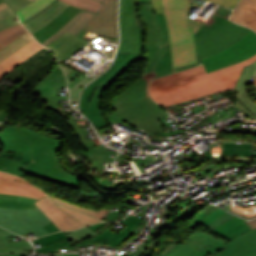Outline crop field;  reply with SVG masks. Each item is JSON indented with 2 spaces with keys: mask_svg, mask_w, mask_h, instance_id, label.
I'll list each match as a JSON object with an SVG mask.
<instances>
[{
  "mask_svg": "<svg viewBox=\"0 0 256 256\" xmlns=\"http://www.w3.org/2000/svg\"><path fill=\"white\" fill-rule=\"evenodd\" d=\"M138 13L146 29L145 73L126 91L115 97L113 103L115 110L126 117L127 123L132 126L147 131L164 132L156 119L169 114L150 99L147 87L153 78L174 73L167 25L163 14L155 15L152 3L139 4Z\"/></svg>",
  "mask_w": 256,
  "mask_h": 256,
  "instance_id": "crop-field-1",
  "label": "crop field"
},
{
  "mask_svg": "<svg viewBox=\"0 0 256 256\" xmlns=\"http://www.w3.org/2000/svg\"><path fill=\"white\" fill-rule=\"evenodd\" d=\"M4 152L18 153L33 162L27 167L0 158V170L25 179V174L67 187L82 188V177L68 174L57 159L60 141L24 126H8L0 132Z\"/></svg>",
  "mask_w": 256,
  "mask_h": 256,
  "instance_id": "crop-field-2",
  "label": "crop field"
},
{
  "mask_svg": "<svg viewBox=\"0 0 256 256\" xmlns=\"http://www.w3.org/2000/svg\"><path fill=\"white\" fill-rule=\"evenodd\" d=\"M231 10L219 6L204 22L193 19L198 63L175 68V72L197 65L201 59L214 55L238 41L249 29L228 21Z\"/></svg>",
  "mask_w": 256,
  "mask_h": 256,
  "instance_id": "crop-field-3",
  "label": "crop field"
},
{
  "mask_svg": "<svg viewBox=\"0 0 256 256\" xmlns=\"http://www.w3.org/2000/svg\"><path fill=\"white\" fill-rule=\"evenodd\" d=\"M171 39L173 66L197 62L189 0H161Z\"/></svg>",
  "mask_w": 256,
  "mask_h": 256,
  "instance_id": "crop-field-4",
  "label": "crop field"
},
{
  "mask_svg": "<svg viewBox=\"0 0 256 256\" xmlns=\"http://www.w3.org/2000/svg\"><path fill=\"white\" fill-rule=\"evenodd\" d=\"M242 69L239 68L201 77L149 93L155 101L164 107L174 105L213 93L234 89Z\"/></svg>",
  "mask_w": 256,
  "mask_h": 256,
  "instance_id": "crop-field-5",
  "label": "crop field"
},
{
  "mask_svg": "<svg viewBox=\"0 0 256 256\" xmlns=\"http://www.w3.org/2000/svg\"><path fill=\"white\" fill-rule=\"evenodd\" d=\"M141 57V54L117 53L115 62L111 68L84 89L80 110L93 122L96 129L109 126L101 111V98L105 89L104 85L128 70Z\"/></svg>",
  "mask_w": 256,
  "mask_h": 256,
  "instance_id": "crop-field-6",
  "label": "crop field"
},
{
  "mask_svg": "<svg viewBox=\"0 0 256 256\" xmlns=\"http://www.w3.org/2000/svg\"><path fill=\"white\" fill-rule=\"evenodd\" d=\"M103 2L98 14L82 9L65 26L44 41L45 47L68 32L77 35L81 30L118 38L117 0H97Z\"/></svg>",
  "mask_w": 256,
  "mask_h": 256,
  "instance_id": "crop-field-7",
  "label": "crop field"
},
{
  "mask_svg": "<svg viewBox=\"0 0 256 256\" xmlns=\"http://www.w3.org/2000/svg\"><path fill=\"white\" fill-rule=\"evenodd\" d=\"M151 0H120L121 42L118 52L142 53L145 51V29L139 19L138 4Z\"/></svg>",
  "mask_w": 256,
  "mask_h": 256,
  "instance_id": "crop-field-8",
  "label": "crop field"
},
{
  "mask_svg": "<svg viewBox=\"0 0 256 256\" xmlns=\"http://www.w3.org/2000/svg\"><path fill=\"white\" fill-rule=\"evenodd\" d=\"M62 87H66L65 78L60 67L58 66L46 78L40 81L39 84L30 92L32 95L40 94L45 108L58 111L59 114L66 119L68 125L73 128L86 148L95 146L92 140L86 141L83 137L87 135L85 128H80L72 118L58 109L56 88Z\"/></svg>",
  "mask_w": 256,
  "mask_h": 256,
  "instance_id": "crop-field-9",
  "label": "crop field"
},
{
  "mask_svg": "<svg viewBox=\"0 0 256 256\" xmlns=\"http://www.w3.org/2000/svg\"><path fill=\"white\" fill-rule=\"evenodd\" d=\"M256 54V33L250 30L242 39L228 49L203 59L206 72L215 71L228 65L241 62Z\"/></svg>",
  "mask_w": 256,
  "mask_h": 256,
  "instance_id": "crop-field-10",
  "label": "crop field"
},
{
  "mask_svg": "<svg viewBox=\"0 0 256 256\" xmlns=\"http://www.w3.org/2000/svg\"><path fill=\"white\" fill-rule=\"evenodd\" d=\"M227 243L207 232L196 230L189 235L186 245L177 244L164 256H209Z\"/></svg>",
  "mask_w": 256,
  "mask_h": 256,
  "instance_id": "crop-field-11",
  "label": "crop field"
},
{
  "mask_svg": "<svg viewBox=\"0 0 256 256\" xmlns=\"http://www.w3.org/2000/svg\"><path fill=\"white\" fill-rule=\"evenodd\" d=\"M49 222L51 220L44 213L27 214L0 210V225L17 234L28 230L37 236L48 234L42 226Z\"/></svg>",
  "mask_w": 256,
  "mask_h": 256,
  "instance_id": "crop-field-12",
  "label": "crop field"
},
{
  "mask_svg": "<svg viewBox=\"0 0 256 256\" xmlns=\"http://www.w3.org/2000/svg\"><path fill=\"white\" fill-rule=\"evenodd\" d=\"M225 211H222L220 209H215L210 204L205 206L189 223L188 227L196 229L197 226L200 224L213 232L214 234L221 236L223 238H227L240 230L248 227L246 224H244L242 220L234 217L224 224L216 227L214 230L209 227L208 225L213 222L215 219H217L219 216L224 214Z\"/></svg>",
  "mask_w": 256,
  "mask_h": 256,
  "instance_id": "crop-field-13",
  "label": "crop field"
},
{
  "mask_svg": "<svg viewBox=\"0 0 256 256\" xmlns=\"http://www.w3.org/2000/svg\"><path fill=\"white\" fill-rule=\"evenodd\" d=\"M255 60H256V55L254 57L244 61V62L237 63V64L228 66L226 68H223L221 70L211 72V73H208V74H206L203 65L198 66V67H194V68H191V69H187V70H184V71H181V72H177V73H174V74H171V75H167V76H164V77L154 79L149 85V91L154 90V89H158V88L168 87V86L174 85V84L179 83V82L191 80V79L198 78V77L205 76V75H209V74H212V73L246 66V65L251 64Z\"/></svg>",
  "mask_w": 256,
  "mask_h": 256,
  "instance_id": "crop-field-14",
  "label": "crop field"
},
{
  "mask_svg": "<svg viewBox=\"0 0 256 256\" xmlns=\"http://www.w3.org/2000/svg\"><path fill=\"white\" fill-rule=\"evenodd\" d=\"M210 256H256V230L233 239Z\"/></svg>",
  "mask_w": 256,
  "mask_h": 256,
  "instance_id": "crop-field-15",
  "label": "crop field"
},
{
  "mask_svg": "<svg viewBox=\"0 0 256 256\" xmlns=\"http://www.w3.org/2000/svg\"><path fill=\"white\" fill-rule=\"evenodd\" d=\"M0 193L41 199L46 195L32 184L12 175L0 172Z\"/></svg>",
  "mask_w": 256,
  "mask_h": 256,
  "instance_id": "crop-field-16",
  "label": "crop field"
},
{
  "mask_svg": "<svg viewBox=\"0 0 256 256\" xmlns=\"http://www.w3.org/2000/svg\"><path fill=\"white\" fill-rule=\"evenodd\" d=\"M36 204L60 230H72L84 226L75 218L57 208V205L55 206V204L48 197L41 199Z\"/></svg>",
  "mask_w": 256,
  "mask_h": 256,
  "instance_id": "crop-field-17",
  "label": "crop field"
},
{
  "mask_svg": "<svg viewBox=\"0 0 256 256\" xmlns=\"http://www.w3.org/2000/svg\"><path fill=\"white\" fill-rule=\"evenodd\" d=\"M87 44H89V42L66 33L46 48L54 52L57 61L60 64L71 57V55L77 52L78 49L85 47Z\"/></svg>",
  "mask_w": 256,
  "mask_h": 256,
  "instance_id": "crop-field-18",
  "label": "crop field"
},
{
  "mask_svg": "<svg viewBox=\"0 0 256 256\" xmlns=\"http://www.w3.org/2000/svg\"><path fill=\"white\" fill-rule=\"evenodd\" d=\"M256 73V61L251 65L244 67L240 78L235 86V90L239 93L236 96L239 100L246 106V108L256 116V103L251 100L247 86L252 79L253 75Z\"/></svg>",
  "mask_w": 256,
  "mask_h": 256,
  "instance_id": "crop-field-19",
  "label": "crop field"
},
{
  "mask_svg": "<svg viewBox=\"0 0 256 256\" xmlns=\"http://www.w3.org/2000/svg\"><path fill=\"white\" fill-rule=\"evenodd\" d=\"M230 20L256 31V0H241L230 16Z\"/></svg>",
  "mask_w": 256,
  "mask_h": 256,
  "instance_id": "crop-field-20",
  "label": "crop field"
},
{
  "mask_svg": "<svg viewBox=\"0 0 256 256\" xmlns=\"http://www.w3.org/2000/svg\"><path fill=\"white\" fill-rule=\"evenodd\" d=\"M81 9L69 5L58 17H56L49 24L32 33L34 37L41 43L46 40L49 36L59 30L65 25L75 14Z\"/></svg>",
  "mask_w": 256,
  "mask_h": 256,
  "instance_id": "crop-field-21",
  "label": "crop field"
},
{
  "mask_svg": "<svg viewBox=\"0 0 256 256\" xmlns=\"http://www.w3.org/2000/svg\"><path fill=\"white\" fill-rule=\"evenodd\" d=\"M42 48L44 47H42L34 40L10 56L8 59L0 63V78Z\"/></svg>",
  "mask_w": 256,
  "mask_h": 256,
  "instance_id": "crop-field-22",
  "label": "crop field"
},
{
  "mask_svg": "<svg viewBox=\"0 0 256 256\" xmlns=\"http://www.w3.org/2000/svg\"><path fill=\"white\" fill-rule=\"evenodd\" d=\"M68 5L64 4L63 2H57L44 13H42L37 18L29 21L28 23L24 24L25 27L32 33L39 28L43 27L51 20H53L56 16H58Z\"/></svg>",
  "mask_w": 256,
  "mask_h": 256,
  "instance_id": "crop-field-23",
  "label": "crop field"
},
{
  "mask_svg": "<svg viewBox=\"0 0 256 256\" xmlns=\"http://www.w3.org/2000/svg\"><path fill=\"white\" fill-rule=\"evenodd\" d=\"M14 235L0 228V253L23 252L22 250L33 249L28 241L7 242V237Z\"/></svg>",
  "mask_w": 256,
  "mask_h": 256,
  "instance_id": "crop-field-24",
  "label": "crop field"
},
{
  "mask_svg": "<svg viewBox=\"0 0 256 256\" xmlns=\"http://www.w3.org/2000/svg\"><path fill=\"white\" fill-rule=\"evenodd\" d=\"M91 244H95V246L96 244H107V245H111L112 247H115V245L108 240L92 243L90 238H88L82 242L75 243V244H72L69 240H67L62 243L54 244L45 248H39L35 250L37 253L57 252L56 248L66 247V249H73V247H79V246H85V245H91Z\"/></svg>",
  "mask_w": 256,
  "mask_h": 256,
  "instance_id": "crop-field-25",
  "label": "crop field"
},
{
  "mask_svg": "<svg viewBox=\"0 0 256 256\" xmlns=\"http://www.w3.org/2000/svg\"><path fill=\"white\" fill-rule=\"evenodd\" d=\"M32 40L33 37L30 35V33L27 32L11 44L0 50V62L8 58L10 55L18 51L20 48H22Z\"/></svg>",
  "mask_w": 256,
  "mask_h": 256,
  "instance_id": "crop-field-26",
  "label": "crop field"
},
{
  "mask_svg": "<svg viewBox=\"0 0 256 256\" xmlns=\"http://www.w3.org/2000/svg\"><path fill=\"white\" fill-rule=\"evenodd\" d=\"M25 32H27V30L21 24L1 30L0 49L11 43Z\"/></svg>",
  "mask_w": 256,
  "mask_h": 256,
  "instance_id": "crop-field-27",
  "label": "crop field"
},
{
  "mask_svg": "<svg viewBox=\"0 0 256 256\" xmlns=\"http://www.w3.org/2000/svg\"><path fill=\"white\" fill-rule=\"evenodd\" d=\"M53 0H36L33 3H31L29 6L26 8L16 12L20 18V20H24L28 18L29 16L33 15L34 13L38 12L41 10L43 7L48 5L50 2Z\"/></svg>",
  "mask_w": 256,
  "mask_h": 256,
  "instance_id": "crop-field-28",
  "label": "crop field"
},
{
  "mask_svg": "<svg viewBox=\"0 0 256 256\" xmlns=\"http://www.w3.org/2000/svg\"><path fill=\"white\" fill-rule=\"evenodd\" d=\"M50 198L53 199L54 201L58 202L59 204L65 206V207H68V208H71V209H74V210H78V211H81V212H84V213L91 214V215H93L95 217H98L102 220H103V218L105 217V215L108 211V209H106V208H102L98 211H95V210H91V209L76 206L74 204H71L69 202H66L64 200H61V199H58V198H55V197H52V196H50Z\"/></svg>",
  "mask_w": 256,
  "mask_h": 256,
  "instance_id": "crop-field-29",
  "label": "crop field"
},
{
  "mask_svg": "<svg viewBox=\"0 0 256 256\" xmlns=\"http://www.w3.org/2000/svg\"><path fill=\"white\" fill-rule=\"evenodd\" d=\"M64 240H67L66 236L63 234V232H59L56 234H51V235H46L39 238L31 239L30 241L32 242V244L41 242L44 247V246H47L53 243H58Z\"/></svg>",
  "mask_w": 256,
  "mask_h": 256,
  "instance_id": "crop-field-30",
  "label": "crop field"
},
{
  "mask_svg": "<svg viewBox=\"0 0 256 256\" xmlns=\"http://www.w3.org/2000/svg\"><path fill=\"white\" fill-rule=\"evenodd\" d=\"M60 1H63L64 3L71 4L79 8H84L96 13L101 5L100 2H96L92 0H60Z\"/></svg>",
  "mask_w": 256,
  "mask_h": 256,
  "instance_id": "crop-field-31",
  "label": "crop field"
},
{
  "mask_svg": "<svg viewBox=\"0 0 256 256\" xmlns=\"http://www.w3.org/2000/svg\"><path fill=\"white\" fill-rule=\"evenodd\" d=\"M87 177L91 178L93 180L94 184L97 185L100 189H102L104 191H119L118 186L121 184H125L124 182L113 183V182H110L107 180L97 178L90 174H87Z\"/></svg>",
  "mask_w": 256,
  "mask_h": 256,
  "instance_id": "crop-field-32",
  "label": "crop field"
},
{
  "mask_svg": "<svg viewBox=\"0 0 256 256\" xmlns=\"http://www.w3.org/2000/svg\"><path fill=\"white\" fill-rule=\"evenodd\" d=\"M97 235L94 231L90 230L87 227L81 228L79 230L73 231L70 234H66L67 238L72 242H79L82 241L88 237H93Z\"/></svg>",
  "mask_w": 256,
  "mask_h": 256,
  "instance_id": "crop-field-33",
  "label": "crop field"
},
{
  "mask_svg": "<svg viewBox=\"0 0 256 256\" xmlns=\"http://www.w3.org/2000/svg\"><path fill=\"white\" fill-rule=\"evenodd\" d=\"M16 16V13L10 7L0 11V30L12 25L19 24L17 22L14 23L11 19Z\"/></svg>",
  "mask_w": 256,
  "mask_h": 256,
  "instance_id": "crop-field-34",
  "label": "crop field"
},
{
  "mask_svg": "<svg viewBox=\"0 0 256 256\" xmlns=\"http://www.w3.org/2000/svg\"><path fill=\"white\" fill-rule=\"evenodd\" d=\"M57 207L65 210L66 212H68L70 215H72L73 217H75L76 219H78L80 222H82L85 225L99 222V220H97V219H95V218H93L91 216L85 215L83 213L75 212V211L69 210L67 208L61 207L59 205H57Z\"/></svg>",
  "mask_w": 256,
  "mask_h": 256,
  "instance_id": "crop-field-35",
  "label": "crop field"
},
{
  "mask_svg": "<svg viewBox=\"0 0 256 256\" xmlns=\"http://www.w3.org/2000/svg\"><path fill=\"white\" fill-rule=\"evenodd\" d=\"M177 243H181V242L178 240H172V239L166 238L165 242L163 243L161 248L158 250V252L155 254V256H162L163 254L168 252Z\"/></svg>",
  "mask_w": 256,
  "mask_h": 256,
  "instance_id": "crop-field-36",
  "label": "crop field"
},
{
  "mask_svg": "<svg viewBox=\"0 0 256 256\" xmlns=\"http://www.w3.org/2000/svg\"><path fill=\"white\" fill-rule=\"evenodd\" d=\"M4 1H6L14 9L15 12L26 7L31 2H33L31 0H4Z\"/></svg>",
  "mask_w": 256,
  "mask_h": 256,
  "instance_id": "crop-field-37",
  "label": "crop field"
},
{
  "mask_svg": "<svg viewBox=\"0 0 256 256\" xmlns=\"http://www.w3.org/2000/svg\"><path fill=\"white\" fill-rule=\"evenodd\" d=\"M0 157L1 158H11L14 159L24 165H28L29 163H31V161L27 160L26 158L18 155V154H11V153H0Z\"/></svg>",
  "mask_w": 256,
  "mask_h": 256,
  "instance_id": "crop-field-38",
  "label": "crop field"
},
{
  "mask_svg": "<svg viewBox=\"0 0 256 256\" xmlns=\"http://www.w3.org/2000/svg\"><path fill=\"white\" fill-rule=\"evenodd\" d=\"M159 244L152 242L150 245H145L143 244L142 247L140 248V250L144 251L145 253L142 256H149L150 254H152L155 249L157 248Z\"/></svg>",
  "mask_w": 256,
  "mask_h": 256,
  "instance_id": "crop-field-39",
  "label": "crop field"
},
{
  "mask_svg": "<svg viewBox=\"0 0 256 256\" xmlns=\"http://www.w3.org/2000/svg\"><path fill=\"white\" fill-rule=\"evenodd\" d=\"M208 1L233 9L239 0H208Z\"/></svg>",
  "mask_w": 256,
  "mask_h": 256,
  "instance_id": "crop-field-40",
  "label": "crop field"
},
{
  "mask_svg": "<svg viewBox=\"0 0 256 256\" xmlns=\"http://www.w3.org/2000/svg\"><path fill=\"white\" fill-rule=\"evenodd\" d=\"M234 217L233 215H231L230 213H225L224 215H222L221 217H219L217 220H215L212 224H210L209 226L215 228L216 226L222 224L223 222L227 221L228 219Z\"/></svg>",
  "mask_w": 256,
  "mask_h": 256,
  "instance_id": "crop-field-41",
  "label": "crop field"
},
{
  "mask_svg": "<svg viewBox=\"0 0 256 256\" xmlns=\"http://www.w3.org/2000/svg\"><path fill=\"white\" fill-rule=\"evenodd\" d=\"M118 209L119 210H117V211H115V212H110L109 214H108V216L106 217V219L105 220H116L118 217H119V214H120V212H121V210H122V206L120 205V206H118Z\"/></svg>",
  "mask_w": 256,
  "mask_h": 256,
  "instance_id": "crop-field-42",
  "label": "crop field"
},
{
  "mask_svg": "<svg viewBox=\"0 0 256 256\" xmlns=\"http://www.w3.org/2000/svg\"><path fill=\"white\" fill-rule=\"evenodd\" d=\"M57 1H59V0L53 1L51 4H49L48 6H46L44 9H42V10L39 11L38 13H36V14H34L33 16L29 17L28 19L22 21V23H25V22H27V21H29V20H31V19L37 17L38 15H40L42 12H44L46 9H48L50 6H52V5H53L54 3H56Z\"/></svg>",
  "mask_w": 256,
  "mask_h": 256,
  "instance_id": "crop-field-43",
  "label": "crop field"
},
{
  "mask_svg": "<svg viewBox=\"0 0 256 256\" xmlns=\"http://www.w3.org/2000/svg\"><path fill=\"white\" fill-rule=\"evenodd\" d=\"M155 8L156 14L163 13L162 5L160 3V0H152Z\"/></svg>",
  "mask_w": 256,
  "mask_h": 256,
  "instance_id": "crop-field-44",
  "label": "crop field"
},
{
  "mask_svg": "<svg viewBox=\"0 0 256 256\" xmlns=\"http://www.w3.org/2000/svg\"><path fill=\"white\" fill-rule=\"evenodd\" d=\"M44 228L49 232H55V231H59V229L55 226V224L52 222L46 226H44Z\"/></svg>",
  "mask_w": 256,
  "mask_h": 256,
  "instance_id": "crop-field-45",
  "label": "crop field"
},
{
  "mask_svg": "<svg viewBox=\"0 0 256 256\" xmlns=\"http://www.w3.org/2000/svg\"><path fill=\"white\" fill-rule=\"evenodd\" d=\"M106 223L107 222H103V223H99V224L90 225L88 227L95 231V230L101 228L102 226H104Z\"/></svg>",
  "mask_w": 256,
  "mask_h": 256,
  "instance_id": "crop-field-46",
  "label": "crop field"
},
{
  "mask_svg": "<svg viewBox=\"0 0 256 256\" xmlns=\"http://www.w3.org/2000/svg\"><path fill=\"white\" fill-rule=\"evenodd\" d=\"M251 229H250V227L249 228H247V229H245V230H243V231H241V232H239V233H237V234H235V235H233V236H231V237H229V238H227V239H229L230 241L233 239V238H235V237H237V236H239V235H241V234H243V233H245V232H247V231H250Z\"/></svg>",
  "mask_w": 256,
  "mask_h": 256,
  "instance_id": "crop-field-47",
  "label": "crop field"
},
{
  "mask_svg": "<svg viewBox=\"0 0 256 256\" xmlns=\"http://www.w3.org/2000/svg\"><path fill=\"white\" fill-rule=\"evenodd\" d=\"M247 225H249L252 230L256 229V219L255 220H251V221H247L245 222Z\"/></svg>",
  "mask_w": 256,
  "mask_h": 256,
  "instance_id": "crop-field-48",
  "label": "crop field"
},
{
  "mask_svg": "<svg viewBox=\"0 0 256 256\" xmlns=\"http://www.w3.org/2000/svg\"><path fill=\"white\" fill-rule=\"evenodd\" d=\"M6 116H7V114H6L5 110L0 111V121L1 120H6Z\"/></svg>",
  "mask_w": 256,
  "mask_h": 256,
  "instance_id": "crop-field-49",
  "label": "crop field"
},
{
  "mask_svg": "<svg viewBox=\"0 0 256 256\" xmlns=\"http://www.w3.org/2000/svg\"><path fill=\"white\" fill-rule=\"evenodd\" d=\"M0 256H27L26 254H0Z\"/></svg>",
  "mask_w": 256,
  "mask_h": 256,
  "instance_id": "crop-field-50",
  "label": "crop field"
},
{
  "mask_svg": "<svg viewBox=\"0 0 256 256\" xmlns=\"http://www.w3.org/2000/svg\"><path fill=\"white\" fill-rule=\"evenodd\" d=\"M6 7H8V6L0 0V10L4 9Z\"/></svg>",
  "mask_w": 256,
  "mask_h": 256,
  "instance_id": "crop-field-51",
  "label": "crop field"
},
{
  "mask_svg": "<svg viewBox=\"0 0 256 256\" xmlns=\"http://www.w3.org/2000/svg\"><path fill=\"white\" fill-rule=\"evenodd\" d=\"M190 2L192 3V5L196 4V5L200 6V7L203 6V4H200V3L195 2V1H193V0H190ZM193 7H194V6H193Z\"/></svg>",
  "mask_w": 256,
  "mask_h": 256,
  "instance_id": "crop-field-52",
  "label": "crop field"
},
{
  "mask_svg": "<svg viewBox=\"0 0 256 256\" xmlns=\"http://www.w3.org/2000/svg\"><path fill=\"white\" fill-rule=\"evenodd\" d=\"M60 256H80V254H63V255H60Z\"/></svg>",
  "mask_w": 256,
  "mask_h": 256,
  "instance_id": "crop-field-53",
  "label": "crop field"
},
{
  "mask_svg": "<svg viewBox=\"0 0 256 256\" xmlns=\"http://www.w3.org/2000/svg\"><path fill=\"white\" fill-rule=\"evenodd\" d=\"M252 92H253L254 97L256 98V90H255V88L252 89Z\"/></svg>",
  "mask_w": 256,
  "mask_h": 256,
  "instance_id": "crop-field-54",
  "label": "crop field"
},
{
  "mask_svg": "<svg viewBox=\"0 0 256 256\" xmlns=\"http://www.w3.org/2000/svg\"><path fill=\"white\" fill-rule=\"evenodd\" d=\"M4 125H5V123H1V124H0V127H2V126H4Z\"/></svg>",
  "mask_w": 256,
  "mask_h": 256,
  "instance_id": "crop-field-55",
  "label": "crop field"
},
{
  "mask_svg": "<svg viewBox=\"0 0 256 256\" xmlns=\"http://www.w3.org/2000/svg\"><path fill=\"white\" fill-rule=\"evenodd\" d=\"M254 83H256V78H255V80H254ZM255 88H256V86H255Z\"/></svg>",
  "mask_w": 256,
  "mask_h": 256,
  "instance_id": "crop-field-56",
  "label": "crop field"
},
{
  "mask_svg": "<svg viewBox=\"0 0 256 256\" xmlns=\"http://www.w3.org/2000/svg\"><path fill=\"white\" fill-rule=\"evenodd\" d=\"M34 1V0H33Z\"/></svg>",
  "mask_w": 256,
  "mask_h": 256,
  "instance_id": "crop-field-57",
  "label": "crop field"
},
{
  "mask_svg": "<svg viewBox=\"0 0 256 256\" xmlns=\"http://www.w3.org/2000/svg\"><path fill=\"white\" fill-rule=\"evenodd\" d=\"M1 93V92H0Z\"/></svg>",
  "mask_w": 256,
  "mask_h": 256,
  "instance_id": "crop-field-58",
  "label": "crop field"
}]
</instances>
